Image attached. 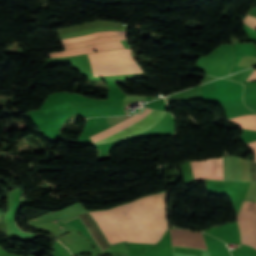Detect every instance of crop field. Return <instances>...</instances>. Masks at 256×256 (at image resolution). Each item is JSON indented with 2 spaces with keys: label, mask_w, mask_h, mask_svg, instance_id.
I'll return each mask as SVG.
<instances>
[{
  "label": "crop field",
  "mask_w": 256,
  "mask_h": 256,
  "mask_svg": "<svg viewBox=\"0 0 256 256\" xmlns=\"http://www.w3.org/2000/svg\"><path fill=\"white\" fill-rule=\"evenodd\" d=\"M94 76L138 73L129 49L88 54Z\"/></svg>",
  "instance_id": "3"
},
{
  "label": "crop field",
  "mask_w": 256,
  "mask_h": 256,
  "mask_svg": "<svg viewBox=\"0 0 256 256\" xmlns=\"http://www.w3.org/2000/svg\"><path fill=\"white\" fill-rule=\"evenodd\" d=\"M166 192L153 194L126 203L147 243H156L168 229ZM125 204L102 211H89L110 244L146 243Z\"/></svg>",
  "instance_id": "1"
},
{
  "label": "crop field",
  "mask_w": 256,
  "mask_h": 256,
  "mask_svg": "<svg viewBox=\"0 0 256 256\" xmlns=\"http://www.w3.org/2000/svg\"><path fill=\"white\" fill-rule=\"evenodd\" d=\"M246 145L252 150V152L256 156V141L250 142V143H246ZM255 161H256V158H255Z\"/></svg>",
  "instance_id": "9"
},
{
  "label": "crop field",
  "mask_w": 256,
  "mask_h": 256,
  "mask_svg": "<svg viewBox=\"0 0 256 256\" xmlns=\"http://www.w3.org/2000/svg\"><path fill=\"white\" fill-rule=\"evenodd\" d=\"M172 245L205 249L201 233L170 229Z\"/></svg>",
  "instance_id": "6"
},
{
  "label": "crop field",
  "mask_w": 256,
  "mask_h": 256,
  "mask_svg": "<svg viewBox=\"0 0 256 256\" xmlns=\"http://www.w3.org/2000/svg\"><path fill=\"white\" fill-rule=\"evenodd\" d=\"M115 48H124L121 41L96 44V45H92V46H88V47H84V48H78V49L66 50V51H62V52H58V53H52L50 55H51V57L68 56V55L90 53V52H93L92 50L101 51V50L115 49Z\"/></svg>",
  "instance_id": "7"
},
{
  "label": "crop field",
  "mask_w": 256,
  "mask_h": 256,
  "mask_svg": "<svg viewBox=\"0 0 256 256\" xmlns=\"http://www.w3.org/2000/svg\"><path fill=\"white\" fill-rule=\"evenodd\" d=\"M194 177L197 180H223V157L191 162Z\"/></svg>",
  "instance_id": "5"
},
{
  "label": "crop field",
  "mask_w": 256,
  "mask_h": 256,
  "mask_svg": "<svg viewBox=\"0 0 256 256\" xmlns=\"http://www.w3.org/2000/svg\"><path fill=\"white\" fill-rule=\"evenodd\" d=\"M237 220L241 243L256 248V203L244 201Z\"/></svg>",
  "instance_id": "4"
},
{
  "label": "crop field",
  "mask_w": 256,
  "mask_h": 256,
  "mask_svg": "<svg viewBox=\"0 0 256 256\" xmlns=\"http://www.w3.org/2000/svg\"><path fill=\"white\" fill-rule=\"evenodd\" d=\"M151 109H146L145 112L143 113L144 111V108L137 114H141L140 116L139 115H134L114 126H111L93 136H91V139L93 140V142L101 139V138H104L128 125H131L137 121H139L140 119L144 118L150 111ZM167 112H163V111H155V110H151V112L148 114V116L144 119H142L141 121L115 133V134H112L104 139H101L97 142H95V145H98V144H102V143H106V142H110V141H115V140H119V139H122V138H126V137H129V136H132V135H136V134H139V133H142L144 131H146L147 129H149L150 127H152L154 124H156L161 118H163L165 116Z\"/></svg>",
  "instance_id": "2"
},
{
  "label": "crop field",
  "mask_w": 256,
  "mask_h": 256,
  "mask_svg": "<svg viewBox=\"0 0 256 256\" xmlns=\"http://www.w3.org/2000/svg\"><path fill=\"white\" fill-rule=\"evenodd\" d=\"M246 81V80H245ZM247 81H256V70H254L251 75L249 76V78L247 79Z\"/></svg>",
  "instance_id": "10"
},
{
  "label": "crop field",
  "mask_w": 256,
  "mask_h": 256,
  "mask_svg": "<svg viewBox=\"0 0 256 256\" xmlns=\"http://www.w3.org/2000/svg\"><path fill=\"white\" fill-rule=\"evenodd\" d=\"M244 23H246L247 25L256 30V18L247 15L246 18L244 19Z\"/></svg>",
  "instance_id": "8"
}]
</instances>
